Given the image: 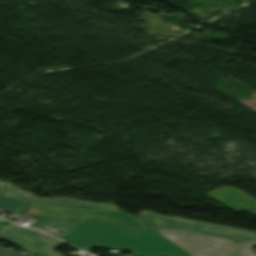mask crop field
<instances>
[{
  "mask_svg": "<svg viewBox=\"0 0 256 256\" xmlns=\"http://www.w3.org/2000/svg\"><path fill=\"white\" fill-rule=\"evenodd\" d=\"M162 223L256 240V232H249V231L236 229V228L182 220V219L171 218V217L164 218Z\"/></svg>",
  "mask_w": 256,
  "mask_h": 256,
  "instance_id": "5",
  "label": "crop field"
},
{
  "mask_svg": "<svg viewBox=\"0 0 256 256\" xmlns=\"http://www.w3.org/2000/svg\"><path fill=\"white\" fill-rule=\"evenodd\" d=\"M164 217L160 215H156L150 212L143 211L140 216L137 218L143 223H145L147 226L152 228L153 230L156 231V229L159 227L161 224L162 220Z\"/></svg>",
  "mask_w": 256,
  "mask_h": 256,
  "instance_id": "6",
  "label": "crop field"
},
{
  "mask_svg": "<svg viewBox=\"0 0 256 256\" xmlns=\"http://www.w3.org/2000/svg\"><path fill=\"white\" fill-rule=\"evenodd\" d=\"M0 239L41 256H62L52 250L63 242L15 224L3 230Z\"/></svg>",
  "mask_w": 256,
  "mask_h": 256,
  "instance_id": "4",
  "label": "crop field"
},
{
  "mask_svg": "<svg viewBox=\"0 0 256 256\" xmlns=\"http://www.w3.org/2000/svg\"><path fill=\"white\" fill-rule=\"evenodd\" d=\"M251 246V244H249L247 247H248V249H249V247Z\"/></svg>",
  "mask_w": 256,
  "mask_h": 256,
  "instance_id": "10",
  "label": "crop field"
},
{
  "mask_svg": "<svg viewBox=\"0 0 256 256\" xmlns=\"http://www.w3.org/2000/svg\"><path fill=\"white\" fill-rule=\"evenodd\" d=\"M1 221H3V220H1ZM1 221H0V222H1Z\"/></svg>",
  "mask_w": 256,
  "mask_h": 256,
  "instance_id": "12",
  "label": "crop field"
},
{
  "mask_svg": "<svg viewBox=\"0 0 256 256\" xmlns=\"http://www.w3.org/2000/svg\"><path fill=\"white\" fill-rule=\"evenodd\" d=\"M30 205H17L0 203V211L15 212L19 214H24Z\"/></svg>",
  "mask_w": 256,
  "mask_h": 256,
  "instance_id": "7",
  "label": "crop field"
},
{
  "mask_svg": "<svg viewBox=\"0 0 256 256\" xmlns=\"http://www.w3.org/2000/svg\"><path fill=\"white\" fill-rule=\"evenodd\" d=\"M157 233L193 256H256L248 251L254 240L161 224Z\"/></svg>",
  "mask_w": 256,
  "mask_h": 256,
  "instance_id": "2",
  "label": "crop field"
},
{
  "mask_svg": "<svg viewBox=\"0 0 256 256\" xmlns=\"http://www.w3.org/2000/svg\"><path fill=\"white\" fill-rule=\"evenodd\" d=\"M6 226L0 225V231H2Z\"/></svg>",
  "mask_w": 256,
  "mask_h": 256,
  "instance_id": "9",
  "label": "crop field"
},
{
  "mask_svg": "<svg viewBox=\"0 0 256 256\" xmlns=\"http://www.w3.org/2000/svg\"><path fill=\"white\" fill-rule=\"evenodd\" d=\"M2 185V182H0V186Z\"/></svg>",
  "mask_w": 256,
  "mask_h": 256,
  "instance_id": "11",
  "label": "crop field"
},
{
  "mask_svg": "<svg viewBox=\"0 0 256 256\" xmlns=\"http://www.w3.org/2000/svg\"><path fill=\"white\" fill-rule=\"evenodd\" d=\"M30 191H24L13 187L11 184L4 182L0 190V202H13L21 204L46 203L68 207L99 209L119 211L112 203H95L90 201H81L74 198H40Z\"/></svg>",
  "mask_w": 256,
  "mask_h": 256,
  "instance_id": "3",
  "label": "crop field"
},
{
  "mask_svg": "<svg viewBox=\"0 0 256 256\" xmlns=\"http://www.w3.org/2000/svg\"><path fill=\"white\" fill-rule=\"evenodd\" d=\"M0 256H35L29 252H12V248H2L0 246Z\"/></svg>",
  "mask_w": 256,
  "mask_h": 256,
  "instance_id": "8",
  "label": "crop field"
},
{
  "mask_svg": "<svg viewBox=\"0 0 256 256\" xmlns=\"http://www.w3.org/2000/svg\"><path fill=\"white\" fill-rule=\"evenodd\" d=\"M28 226L59 228L58 237L86 250L92 247L127 249L133 256H191L127 213L31 205Z\"/></svg>",
  "mask_w": 256,
  "mask_h": 256,
  "instance_id": "1",
  "label": "crop field"
}]
</instances>
